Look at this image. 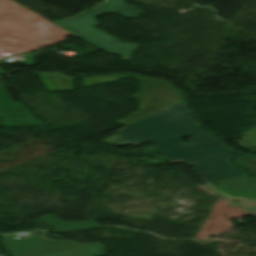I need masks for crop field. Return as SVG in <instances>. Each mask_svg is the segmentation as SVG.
Listing matches in <instances>:
<instances>
[{
    "mask_svg": "<svg viewBox=\"0 0 256 256\" xmlns=\"http://www.w3.org/2000/svg\"><path fill=\"white\" fill-rule=\"evenodd\" d=\"M5 71L0 68V73H4Z\"/></svg>",
    "mask_w": 256,
    "mask_h": 256,
    "instance_id": "9",
    "label": "crop field"
},
{
    "mask_svg": "<svg viewBox=\"0 0 256 256\" xmlns=\"http://www.w3.org/2000/svg\"><path fill=\"white\" fill-rule=\"evenodd\" d=\"M103 11L121 14L125 17H139L140 15L139 8L126 5L123 0H108L107 3L87 11L75 19H63L53 23L104 52L119 54L123 60H128L139 44L122 43L118 39L94 28L93 26L98 24L94 16Z\"/></svg>",
    "mask_w": 256,
    "mask_h": 256,
    "instance_id": "2",
    "label": "crop field"
},
{
    "mask_svg": "<svg viewBox=\"0 0 256 256\" xmlns=\"http://www.w3.org/2000/svg\"><path fill=\"white\" fill-rule=\"evenodd\" d=\"M30 116L31 118H28ZM0 117L3 125L8 127L44 125L34 119L33 115L20 102H12L0 83Z\"/></svg>",
    "mask_w": 256,
    "mask_h": 256,
    "instance_id": "4",
    "label": "crop field"
},
{
    "mask_svg": "<svg viewBox=\"0 0 256 256\" xmlns=\"http://www.w3.org/2000/svg\"><path fill=\"white\" fill-rule=\"evenodd\" d=\"M219 182L224 185L216 189L221 193L232 197L245 196L256 200V177L254 176L244 174Z\"/></svg>",
    "mask_w": 256,
    "mask_h": 256,
    "instance_id": "5",
    "label": "crop field"
},
{
    "mask_svg": "<svg viewBox=\"0 0 256 256\" xmlns=\"http://www.w3.org/2000/svg\"><path fill=\"white\" fill-rule=\"evenodd\" d=\"M114 76L83 78L84 86L114 82Z\"/></svg>",
    "mask_w": 256,
    "mask_h": 256,
    "instance_id": "7",
    "label": "crop field"
},
{
    "mask_svg": "<svg viewBox=\"0 0 256 256\" xmlns=\"http://www.w3.org/2000/svg\"><path fill=\"white\" fill-rule=\"evenodd\" d=\"M122 77H133V76H125V75L115 76L116 81H118Z\"/></svg>",
    "mask_w": 256,
    "mask_h": 256,
    "instance_id": "8",
    "label": "crop field"
},
{
    "mask_svg": "<svg viewBox=\"0 0 256 256\" xmlns=\"http://www.w3.org/2000/svg\"><path fill=\"white\" fill-rule=\"evenodd\" d=\"M185 136L191 141L183 144L182 137ZM148 141L156 144L171 163L189 165L208 182L245 173L229 163V157L236 151L227 148L222 140L202 132L184 102L133 121L115 136L101 142L137 146Z\"/></svg>",
    "mask_w": 256,
    "mask_h": 256,
    "instance_id": "1",
    "label": "crop field"
},
{
    "mask_svg": "<svg viewBox=\"0 0 256 256\" xmlns=\"http://www.w3.org/2000/svg\"><path fill=\"white\" fill-rule=\"evenodd\" d=\"M0 256H2V255H0Z\"/></svg>",
    "mask_w": 256,
    "mask_h": 256,
    "instance_id": "10",
    "label": "crop field"
},
{
    "mask_svg": "<svg viewBox=\"0 0 256 256\" xmlns=\"http://www.w3.org/2000/svg\"><path fill=\"white\" fill-rule=\"evenodd\" d=\"M134 77L140 83L141 89L131 98L140 103V108L139 111L132 113L130 118L116 121L121 125L184 101L181 94L165 80Z\"/></svg>",
    "mask_w": 256,
    "mask_h": 256,
    "instance_id": "3",
    "label": "crop field"
},
{
    "mask_svg": "<svg viewBox=\"0 0 256 256\" xmlns=\"http://www.w3.org/2000/svg\"><path fill=\"white\" fill-rule=\"evenodd\" d=\"M234 161L240 167H242L248 171L256 173V160L255 159H253L249 156H246V157L238 156L234 159Z\"/></svg>",
    "mask_w": 256,
    "mask_h": 256,
    "instance_id": "6",
    "label": "crop field"
}]
</instances>
